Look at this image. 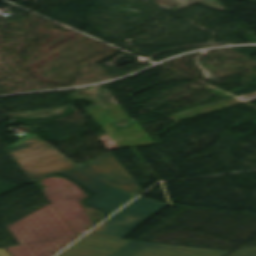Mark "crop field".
<instances>
[{"label":"crop field","mask_w":256,"mask_h":256,"mask_svg":"<svg viewBox=\"0 0 256 256\" xmlns=\"http://www.w3.org/2000/svg\"><path fill=\"white\" fill-rule=\"evenodd\" d=\"M88 111L120 149L154 142L139 123L132 124V127L129 128L116 130L110 123L114 121L102 107L89 109Z\"/></svg>","instance_id":"obj_5"},{"label":"crop field","mask_w":256,"mask_h":256,"mask_svg":"<svg viewBox=\"0 0 256 256\" xmlns=\"http://www.w3.org/2000/svg\"><path fill=\"white\" fill-rule=\"evenodd\" d=\"M0 256H10V255L5 251L4 248H1L0 249Z\"/></svg>","instance_id":"obj_7"},{"label":"crop field","mask_w":256,"mask_h":256,"mask_svg":"<svg viewBox=\"0 0 256 256\" xmlns=\"http://www.w3.org/2000/svg\"><path fill=\"white\" fill-rule=\"evenodd\" d=\"M167 204L139 197L104 223L126 229L118 237L121 238L149 217L164 208Z\"/></svg>","instance_id":"obj_4"},{"label":"crop field","mask_w":256,"mask_h":256,"mask_svg":"<svg viewBox=\"0 0 256 256\" xmlns=\"http://www.w3.org/2000/svg\"><path fill=\"white\" fill-rule=\"evenodd\" d=\"M126 246L111 256H224L228 252L117 239Z\"/></svg>","instance_id":"obj_3"},{"label":"crop field","mask_w":256,"mask_h":256,"mask_svg":"<svg viewBox=\"0 0 256 256\" xmlns=\"http://www.w3.org/2000/svg\"><path fill=\"white\" fill-rule=\"evenodd\" d=\"M106 108L112 113V115L118 121L130 119L129 116L124 112V110L120 107L119 104L107 106Z\"/></svg>","instance_id":"obj_6"},{"label":"crop field","mask_w":256,"mask_h":256,"mask_svg":"<svg viewBox=\"0 0 256 256\" xmlns=\"http://www.w3.org/2000/svg\"><path fill=\"white\" fill-rule=\"evenodd\" d=\"M9 152L33 182L60 173L96 193L85 204L108 215L142 192L112 154L77 168L34 137Z\"/></svg>","instance_id":"obj_1"},{"label":"crop field","mask_w":256,"mask_h":256,"mask_svg":"<svg viewBox=\"0 0 256 256\" xmlns=\"http://www.w3.org/2000/svg\"><path fill=\"white\" fill-rule=\"evenodd\" d=\"M122 231L102 223L57 256H110L125 246L114 239Z\"/></svg>","instance_id":"obj_2"}]
</instances>
